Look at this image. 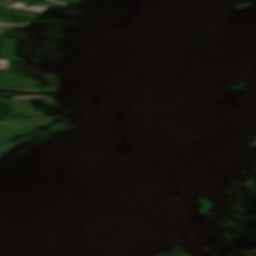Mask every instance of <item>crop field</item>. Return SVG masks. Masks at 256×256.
<instances>
[{"mask_svg":"<svg viewBox=\"0 0 256 256\" xmlns=\"http://www.w3.org/2000/svg\"><path fill=\"white\" fill-rule=\"evenodd\" d=\"M6 2V0H0V6L3 5Z\"/></svg>","mask_w":256,"mask_h":256,"instance_id":"crop-field-1","label":"crop field"}]
</instances>
